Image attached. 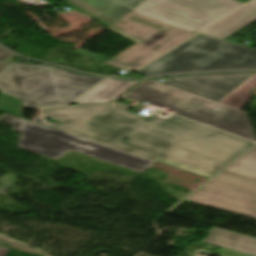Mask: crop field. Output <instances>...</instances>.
Segmentation results:
<instances>
[{
  "instance_id": "8a807250",
  "label": "crop field",
  "mask_w": 256,
  "mask_h": 256,
  "mask_svg": "<svg viewBox=\"0 0 256 256\" xmlns=\"http://www.w3.org/2000/svg\"><path fill=\"white\" fill-rule=\"evenodd\" d=\"M109 104L71 105L42 112L63 122L58 130L207 179L255 144L178 116L153 114L147 118ZM123 137L131 139L125 142Z\"/></svg>"
},
{
  "instance_id": "ac0d7876",
  "label": "crop field",
  "mask_w": 256,
  "mask_h": 256,
  "mask_svg": "<svg viewBox=\"0 0 256 256\" xmlns=\"http://www.w3.org/2000/svg\"><path fill=\"white\" fill-rule=\"evenodd\" d=\"M103 79L46 64L10 62L0 72V92L23 99V108H40L72 103Z\"/></svg>"
},
{
  "instance_id": "34b2d1b8",
  "label": "crop field",
  "mask_w": 256,
  "mask_h": 256,
  "mask_svg": "<svg viewBox=\"0 0 256 256\" xmlns=\"http://www.w3.org/2000/svg\"><path fill=\"white\" fill-rule=\"evenodd\" d=\"M256 69V49L198 34L137 73Z\"/></svg>"
},
{
  "instance_id": "412701ff",
  "label": "crop field",
  "mask_w": 256,
  "mask_h": 256,
  "mask_svg": "<svg viewBox=\"0 0 256 256\" xmlns=\"http://www.w3.org/2000/svg\"><path fill=\"white\" fill-rule=\"evenodd\" d=\"M126 97L168 107L176 111L175 114L256 141L247 115L243 111L176 88L147 80Z\"/></svg>"
},
{
  "instance_id": "f4fd0767",
  "label": "crop field",
  "mask_w": 256,
  "mask_h": 256,
  "mask_svg": "<svg viewBox=\"0 0 256 256\" xmlns=\"http://www.w3.org/2000/svg\"><path fill=\"white\" fill-rule=\"evenodd\" d=\"M107 29L137 44L112 60L81 49L75 52L119 68L137 69L195 34L132 12Z\"/></svg>"
},
{
  "instance_id": "dd49c442",
  "label": "crop field",
  "mask_w": 256,
  "mask_h": 256,
  "mask_svg": "<svg viewBox=\"0 0 256 256\" xmlns=\"http://www.w3.org/2000/svg\"><path fill=\"white\" fill-rule=\"evenodd\" d=\"M19 147L60 158L71 150L142 173L153 161L26 120Z\"/></svg>"
},
{
  "instance_id": "e52e79f7",
  "label": "crop field",
  "mask_w": 256,
  "mask_h": 256,
  "mask_svg": "<svg viewBox=\"0 0 256 256\" xmlns=\"http://www.w3.org/2000/svg\"><path fill=\"white\" fill-rule=\"evenodd\" d=\"M242 4L234 0H147L133 11L198 32Z\"/></svg>"
},
{
  "instance_id": "d8731c3e",
  "label": "crop field",
  "mask_w": 256,
  "mask_h": 256,
  "mask_svg": "<svg viewBox=\"0 0 256 256\" xmlns=\"http://www.w3.org/2000/svg\"><path fill=\"white\" fill-rule=\"evenodd\" d=\"M254 73L169 77L163 83L218 102Z\"/></svg>"
},
{
  "instance_id": "5a996713",
  "label": "crop field",
  "mask_w": 256,
  "mask_h": 256,
  "mask_svg": "<svg viewBox=\"0 0 256 256\" xmlns=\"http://www.w3.org/2000/svg\"><path fill=\"white\" fill-rule=\"evenodd\" d=\"M185 201L256 219V201L201 188Z\"/></svg>"
},
{
  "instance_id": "3316defc",
  "label": "crop field",
  "mask_w": 256,
  "mask_h": 256,
  "mask_svg": "<svg viewBox=\"0 0 256 256\" xmlns=\"http://www.w3.org/2000/svg\"><path fill=\"white\" fill-rule=\"evenodd\" d=\"M67 6L80 11L109 27L133 8L119 0H63Z\"/></svg>"
},
{
  "instance_id": "28ad6ade",
  "label": "crop field",
  "mask_w": 256,
  "mask_h": 256,
  "mask_svg": "<svg viewBox=\"0 0 256 256\" xmlns=\"http://www.w3.org/2000/svg\"><path fill=\"white\" fill-rule=\"evenodd\" d=\"M203 243L256 256V238L213 227Z\"/></svg>"
},
{
  "instance_id": "d1516ede",
  "label": "crop field",
  "mask_w": 256,
  "mask_h": 256,
  "mask_svg": "<svg viewBox=\"0 0 256 256\" xmlns=\"http://www.w3.org/2000/svg\"><path fill=\"white\" fill-rule=\"evenodd\" d=\"M256 21V11L240 8L201 34L226 39Z\"/></svg>"
},
{
  "instance_id": "22f410ed",
  "label": "crop field",
  "mask_w": 256,
  "mask_h": 256,
  "mask_svg": "<svg viewBox=\"0 0 256 256\" xmlns=\"http://www.w3.org/2000/svg\"><path fill=\"white\" fill-rule=\"evenodd\" d=\"M204 188L256 200V182L220 173Z\"/></svg>"
},
{
  "instance_id": "cbeb9de0",
  "label": "crop field",
  "mask_w": 256,
  "mask_h": 256,
  "mask_svg": "<svg viewBox=\"0 0 256 256\" xmlns=\"http://www.w3.org/2000/svg\"><path fill=\"white\" fill-rule=\"evenodd\" d=\"M138 82L140 81H123L109 78L76 103L113 102Z\"/></svg>"
},
{
  "instance_id": "5142ce71",
  "label": "crop field",
  "mask_w": 256,
  "mask_h": 256,
  "mask_svg": "<svg viewBox=\"0 0 256 256\" xmlns=\"http://www.w3.org/2000/svg\"><path fill=\"white\" fill-rule=\"evenodd\" d=\"M256 88V74L228 94L219 103L242 110L254 96L250 94Z\"/></svg>"
},
{
  "instance_id": "d9b57169",
  "label": "crop field",
  "mask_w": 256,
  "mask_h": 256,
  "mask_svg": "<svg viewBox=\"0 0 256 256\" xmlns=\"http://www.w3.org/2000/svg\"><path fill=\"white\" fill-rule=\"evenodd\" d=\"M222 173L256 181V147Z\"/></svg>"
},
{
  "instance_id": "733c2abd",
  "label": "crop field",
  "mask_w": 256,
  "mask_h": 256,
  "mask_svg": "<svg viewBox=\"0 0 256 256\" xmlns=\"http://www.w3.org/2000/svg\"><path fill=\"white\" fill-rule=\"evenodd\" d=\"M22 100L0 93V110L21 117Z\"/></svg>"
},
{
  "instance_id": "4a817a6b",
  "label": "crop field",
  "mask_w": 256,
  "mask_h": 256,
  "mask_svg": "<svg viewBox=\"0 0 256 256\" xmlns=\"http://www.w3.org/2000/svg\"><path fill=\"white\" fill-rule=\"evenodd\" d=\"M1 119L6 120L8 125H11L15 129L22 131L24 119H20V118H17V117L8 115V114H4V116Z\"/></svg>"
},
{
  "instance_id": "bc2a9ffb",
  "label": "crop field",
  "mask_w": 256,
  "mask_h": 256,
  "mask_svg": "<svg viewBox=\"0 0 256 256\" xmlns=\"http://www.w3.org/2000/svg\"><path fill=\"white\" fill-rule=\"evenodd\" d=\"M219 253H220V256H249V255L237 253V252L222 249V248H220Z\"/></svg>"
},
{
  "instance_id": "214f88e0",
  "label": "crop field",
  "mask_w": 256,
  "mask_h": 256,
  "mask_svg": "<svg viewBox=\"0 0 256 256\" xmlns=\"http://www.w3.org/2000/svg\"><path fill=\"white\" fill-rule=\"evenodd\" d=\"M134 8L138 7L140 4H142L146 0H120Z\"/></svg>"
},
{
  "instance_id": "92a150f3",
  "label": "crop field",
  "mask_w": 256,
  "mask_h": 256,
  "mask_svg": "<svg viewBox=\"0 0 256 256\" xmlns=\"http://www.w3.org/2000/svg\"><path fill=\"white\" fill-rule=\"evenodd\" d=\"M7 50V49H6ZM2 47H0V59H6L9 60L12 57V53L6 51Z\"/></svg>"
},
{
  "instance_id": "dafd665d",
  "label": "crop field",
  "mask_w": 256,
  "mask_h": 256,
  "mask_svg": "<svg viewBox=\"0 0 256 256\" xmlns=\"http://www.w3.org/2000/svg\"><path fill=\"white\" fill-rule=\"evenodd\" d=\"M244 7L256 10V0L251 1L250 3H248L247 5H245Z\"/></svg>"
},
{
  "instance_id": "00972430",
  "label": "crop field",
  "mask_w": 256,
  "mask_h": 256,
  "mask_svg": "<svg viewBox=\"0 0 256 256\" xmlns=\"http://www.w3.org/2000/svg\"><path fill=\"white\" fill-rule=\"evenodd\" d=\"M9 251V249L0 248V256H6Z\"/></svg>"
},
{
  "instance_id": "a9b5d70f",
  "label": "crop field",
  "mask_w": 256,
  "mask_h": 256,
  "mask_svg": "<svg viewBox=\"0 0 256 256\" xmlns=\"http://www.w3.org/2000/svg\"><path fill=\"white\" fill-rule=\"evenodd\" d=\"M111 105H114V106H117V107H120V108H123V109H126L128 110L130 107H127V106H124V105H121V104H118V103H115L113 102Z\"/></svg>"
},
{
  "instance_id": "4177f3b9",
  "label": "crop field",
  "mask_w": 256,
  "mask_h": 256,
  "mask_svg": "<svg viewBox=\"0 0 256 256\" xmlns=\"http://www.w3.org/2000/svg\"><path fill=\"white\" fill-rule=\"evenodd\" d=\"M9 188L1 187L0 186V193L5 194L7 191H9Z\"/></svg>"
},
{
  "instance_id": "730fd06b",
  "label": "crop field",
  "mask_w": 256,
  "mask_h": 256,
  "mask_svg": "<svg viewBox=\"0 0 256 256\" xmlns=\"http://www.w3.org/2000/svg\"><path fill=\"white\" fill-rule=\"evenodd\" d=\"M8 62L0 61V70L7 64Z\"/></svg>"
}]
</instances>
